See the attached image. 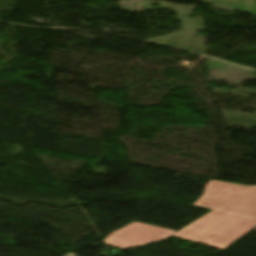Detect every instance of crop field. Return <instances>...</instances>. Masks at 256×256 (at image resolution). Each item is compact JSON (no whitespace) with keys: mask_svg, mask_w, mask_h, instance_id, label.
Segmentation results:
<instances>
[{"mask_svg":"<svg viewBox=\"0 0 256 256\" xmlns=\"http://www.w3.org/2000/svg\"><path fill=\"white\" fill-rule=\"evenodd\" d=\"M194 206L256 220V186L210 181Z\"/></svg>","mask_w":256,"mask_h":256,"instance_id":"ac0d7876","label":"crop field"},{"mask_svg":"<svg viewBox=\"0 0 256 256\" xmlns=\"http://www.w3.org/2000/svg\"><path fill=\"white\" fill-rule=\"evenodd\" d=\"M175 231L134 222L112 234L104 242L120 250L164 240Z\"/></svg>","mask_w":256,"mask_h":256,"instance_id":"34b2d1b8","label":"crop field"},{"mask_svg":"<svg viewBox=\"0 0 256 256\" xmlns=\"http://www.w3.org/2000/svg\"><path fill=\"white\" fill-rule=\"evenodd\" d=\"M255 226V220L212 212L173 236L223 249Z\"/></svg>","mask_w":256,"mask_h":256,"instance_id":"8a807250","label":"crop field"}]
</instances>
